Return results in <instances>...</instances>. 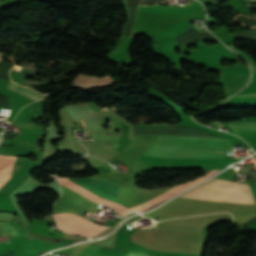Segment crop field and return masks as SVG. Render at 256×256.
I'll return each instance as SVG.
<instances>
[{
	"label": "crop field",
	"mask_w": 256,
	"mask_h": 256,
	"mask_svg": "<svg viewBox=\"0 0 256 256\" xmlns=\"http://www.w3.org/2000/svg\"><path fill=\"white\" fill-rule=\"evenodd\" d=\"M211 201L256 203L248 184L212 178L180 195Z\"/></svg>",
	"instance_id": "crop-field-1"
},
{
	"label": "crop field",
	"mask_w": 256,
	"mask_h": 256,
	"mask_svg": "<svg viewBox=\"0 0 256 256\" xmlns=\"http://www.w3.org/2000/svg\"><path fill=\"white\" fill-rule=\"evenodd\" d=\"M202 6L201 3L195 2L192 5L184 8H171V7H163V6H149V7H140L139 10L143 11H155V12H164V13H172V14H184L188 13L198 7Z\"/></svg>",
	"instance_id": "crop-field-7"
},
{
	"label": "crop field",
	"mask_w": 256,
	"mask_h": 256,
	"mask_svg": "<svg viewBox=\"0 0 256 256\" xmlns=\"http://www.w3.org/2000/svg\"><path fill=\"white\" fill-rule=\"evenodd\" d=\"M0 256H14V253H13V250L11 249L7 252L0 254Z\"/></svg>",
	"instance_id": "crop-field-11"
},
{
	"label": "crop field",
	"mask_w": 256,
	"mask_h": 256,
	"mask_svg": "<svg viewBox=\"0 0 256 256\" xmlns=\"http://www.w3.org/2000/svg\"><path fill=\"white\" fill-rule=\"evenodd\" d=\"M84 185H86L87 187L105 195V196H108L112 199L115 198L118 190H119V186H116V185H112V184H109V183H106V182H102V181H99V180H96V179H92V178H89V177H82V178H72ZM59 181L61 184L77 191L78 193L84 195L85 197L97 202V203H100L102 205H106V206H109V207H112L114 208L116 211L118 210H121V209H124V208H127L125 207L124 205L130 207L129 205L125 204V203H122L124 205H122L121 203L115 201V200H112L110 198H107L69 178H62V177H59Z\"/></svg>",
	"instance_id": "crop-field-2"
},
{
	"label": "crop field",
	"mask_w": 256,
	"mask_h": 256,
	"mask_svg": "<svg viewBox=\"0 0 256 256\" xmlns=\"http://www.w3.org/2000/svg\"><path fill=\"white\" fill-rule=\"evenodd\" d=\"M250 79L248 67L245 64H237L231 67H222L220 83L224 85L228 95L233 94L244 87Z\"/></svg>",
	"instance_id": "crop-field-5"
},
{
	"label": "crop field",
	"mask_w": 256,
	"mask_h": 256,
	"mask_svg": "<svg viewBox=\"0 0 256 256\" xmlns=\"http://www.w3.org/2000/svg\"><path fill=\"white\" fill-rule=\"evenodd\" d=\"M14 156H1L0 155V176L10 177L15 162ZM6 177H0V188L9 179Z\"/></svg>",
	"instance_id": "crop-field-8"
},
{
	"label": "crop field",
	"mask_w": 256,
	"mask_h": 256,
	"mask_svg": "<svg viewBox=\"0 0 256 256\" xmlns=\"http://www.w3.org/2000/svg\"><path fill=\"white\" fill-rule=\"evenodd\" d=\"M7 88L10 89V90H13V91H15V92H18V93H20V94H23V95H25V96H28V97H30V98H33V99H35V100H38V99H40V98L45 97V96H43V95H41V94H39V93H37V92L31 90V89H27V88L20 87V86H18V85H16V84H13L12 82L9 83V85H8Z\"/></svg>",
	"instance_id": "crop-field-9"
},
{
	"label": "crop field",
	"mask_w": 256,
	"mask_h": 256,
	"mask_svg": "<svg viewBox=\"0 0 256 256\" xmlns=\"http://www.w3.org/2000/svg\"><path fill=\"white\" fill-rule=\"evenodd\" d=\"M53 231V230H52Z\"/></svg>",
	"instance_id": "crop-field-13"
},
{
	"label": "crop field",
	"mask_w": 256,
	"mask_h": 256,
	"mask_svg": "<svg viewBox=\"0 0 256 256\" xmlns=\"http://www.w3.org/2000/svg\"><path fill=\"white\" fill-rule=\"evenodd\" d=\"M54 216L60 229L83 236L93 237L107 228V226H100L75 214L62 213Z\"/></svg>",
	"instance_id": "crop-field-4"
},
{
	"label": "crop field",
	"mask_w": 256,
	"mask_h": 256,
	"mask_svg": "<svg viewBox=\"0 0 256 256\" xmlns=\"http://www.w3.org/2000/svg\"><path fill=\"white\" fill-rule=\"evenodd\" d=\"M158 144L171 145L184 148H193L201 150H231L232 146L229 141L224 139L212 138H190V137H168L158 136Z\"/></svg>",
	"instance_id": "crop-field-3"
},
{
	"label": "crop field",
	"mask_w": 256,
	"mask_h": 256,
	"mask_svg": "<svg viewBox=\"0 0 256 256\" xmlns=\"http://www.w3.org/2000/svg\"><path fill=\"white\" fill-rule=\"evenodd\" d=\"M234 131H252L256 130V123H230L229 124Z\"/></svg>",
	"instance_id": "crop-field-10"
},
{
	"label": "crop field",
	"mask_w": 256,
	"mask_h": 256,
	"mask_svg": "<svg viewBox=\"0 0 256 256\" xmlns=\"http://www.w3.org/2000/svg\"><path fill=\"white\" fill-rule=\"evenodd\" d=\"M83 125H84V127H85V124H84V122H83ZM85 130H86V127H85Z\"/></svg>",
	"instance_id": "crop-field-12"
},
{
	"label": "crop field",
	"mask_w": 256,
	"mask_h": 256,
	"mask_svg": "<svg viewBox=\"0 0 256 256\" xmlns=\"http://www.w3.org/2000/svg\"><path fill=\"white\" fill-rule=\"evenodd\" d=\"M151 148V147H150ZM144 154L160 157L223 158L224 153L167 147L155 144Z\"/></svg>",
	"instance_id": "crop-field-6"
}]
</instances>
